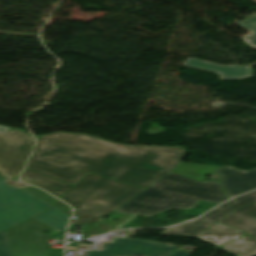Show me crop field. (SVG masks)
Here are the masks:
<instances>
[{"instance_id":"8a807250","label":"crop field","mask_w":256,"mask_h":256,"mask_svg":"<svg viewBox=\"0 0 256 256\" xmlns=\"http://www.w3.org/2000/svg\"><path fill=\"white\" fill-rule=\"evenodd\" d=\"M184 148L112 144L80 134L57 133L40 137L27 168L74 185L94 172L142 187L169 171L203 182L219 167L181 163Z\"/></svg>"},{"instance_id":"ac0d7876","label":"crop field","mask_w":256,"mask_h":256,"mask_svg":"<svg viewBox=\"0 0 256 256\" xmlns=\"http://www.w3.org/2000/svg\"><path fill=\"white\" fill-rule=\"evenodd\" d=\"M199 200L220 203L226 197L219 184L201 183L169 172L117 212L151 216L170 208L188 209Z\"/></svg>"},{"instance_id":"34b2d1b8","label":"crop field","mask_w":256,"mask_h":256,"mask_svg":"<svg viewBox=\"0 0 256 256\" xmlns=\"http://www.w3.org/2000/svg\"><path fill=\"white\" fill-rule=\"evenodd\" d=\"M145 189L89 174L61 199L80 211L70 224H85L104 219Z\"/></svg>"},{"instance_id":"412701ff","label":"crop field","mask_w":256,"mask_h":256,"mask_svg":"<svg viewBox=\"0 0 256 256\" xmlns=\"http://www.w3.org/2000/svg\"><path fill=\"white\" fill-rule=\"evenodd\" d=\"M49 206L33 194L7 185L5 178L0 177V231L46 211Z\"/></svg>"},{"instance_id":"f4fd0767","label":"crop field","mask_w":256,"mask_h":256,"mask_svg":"<svg viewBox=\"0 0 256 256\" xmlns=\"http://www.w3.org/2000/svg\"><path fill=\"white\" fill-rule=\"evenodd\" d=\"M34 145L31 134L19 129L0 134V175L18 178Z\"/></svg>"},{"instance_id":"dd49c442","label":"crop field","mask_w":256,"mask_h":256,"mask_svg":"<svg viewBox=\"0 0 256 256\" xmlns=\"http://www.w3.org/2000/svg\"><path fill=\"white\" fill-rule=\"evenodd\" d=\"M53 229L38 220L31 218L22 225L7 232L13 256H49V235L41 230Z\"/></svg>"},{"instance_id":"e52e79f7","label":"crop field","mask_w":256,"mask_h":256,"mask_svg":"<svg viewBox=\"0 0 256 256\" xmlns=\"http://www.w3.org/2000/svg\"><path fill=\"white\" fill-rule=\"evenodd\" d=\"M176 248V245L116 237L114 243L104 244L103 251H89L88 256H116L117 253L141 256H168Z\"/></svg>"},{"instance_id":"d8731c3e","label":"crop field","mask_w":256,"mask_h":256,"mask_svg":"<svg viewBox=\"0 0 256 256\" xmlns=\"http://www.w3.org/2000/svg\"><path fill=\"white\" fill-rule=\"evenodd\" d=\"M256 202V191L246 194L244 196L235 198L227 203H225L227 206L230 207L228 210H224L220 207L206 213L201 218L187 222L182 225L174 226L162 233V235L166 234H187L190 236H198L205 230H207V227L211 224H214L221 220L222 218L229 215L231 212H233L235 209H237L240 206L250 204Z\"/></svg>"},{"instance_id":"5a996713","label":"crop field","mask_w":256,"mask_h":256,"mask_svg":"<svg viewBox=\"0 0 256 256\" xmlns=\"http://www.w3.org/2000/svg\"><path fill=\"white\" fill-rule=\"evenodd\" d=\"M216 173L221 175V183L229 198L256 188V169L244 172L223 166Z\"/></svg>"},{"instance_id":"3316defc","label":"crop field","mask_w":256,"mask_h":256,"mask_svg":"<svg viewBox=\"0 0 256 256\" xmlns=\"http://www.w3.org/2000/svg\"><path fill=\"white\" fill-rule=\"evenodd\" d=\"M220 222L240 229L256 238V203L235 210Z\"/></svg>"},{"instance_id":"28ad6ade","label":"crop field","mask_w":256,"mask_h":256,"mask_svg":"<svg viewBox=\"0 0 256 256\" xmlns=\"http://www.w3.org/2000/svg\"><path fill=\"white\" fill-rule=\"evenodd\" d=\"M21 178L24 182L32 183L59 197L65 191H67L70 187H72V185H69L67 183L45 176L43 174L37 173L35 171L29 170L27 168H25Z\"/></svg>"},{"instance_id":"d1516ede","label":"crop field","mask_w":256,"mask_h":256,"mask_svg":"<svg viewBox=\"0 0 256 256\" xmlns=\"http://www.w3.org/2000/svg\"><path fill=\"white\" fill-rule=\"evenodd\" d=\"M185 65L220 73L221 79L251 76L250 67L218 66L197 60H188Z\"/></svg>"},{"instance_id":"22f410ed","label":"crop field","mask_w":256,"mask_h":256,"mask_svg":"<svg viewBox=\"0 0 256 256\" xmlns=\"http://www.w3.org/2000/svg\"><path fill=\"white\" fill-rule=\"evenodd\" d=\"M246 233L236 229L227 227L225 225L216 223L212 229H209L196 238L206 240L217 246H220L236 237L242 236Z\"/></svg>"},{"instance_id":"cbeb9de0","label":"crop field","mask_w":256,"mask_h":256,"mask_svg":"<svg viewBox=\"0 0 256 256\" xmlns=\"http://www.w3.org/2000/svg\"><path fill=\"white\" fill-rule=\"evenodd\" d=\"M35 218L59 231H65L70 215L52 206L45 214L39 215Z\"/></svg>"},{"instance_id":"5142ce71","label":"crop field","mask_w":256,"mask_h":256,"mask_svg":"<svg viewBox=\"0 0 256 256\" xmlns=\"http://www.w3.org/2000/svg\"><path fill=\"white\" fill-rule=\"evenodd\" d=\"M222 248L238 256H253L256 254V240L247 235Z\"/></svg>"},{"instance_id":"d9b57169","label":"crop field","mask_w":256,"mask_h":256,"mask_svg":"<svg viewBox=\"0 0 256 256\" xmlns=\"http://www.w3.org/2000/svg\"><path fill=\"white\" fill-rule=\"evenodd\" d=\"M239 23L252 32V34L243 37L244 41L250 46L256 47V16L240 21Z\"/></svg>"},{"instance_id":"733c2abd","label":"crop field","mask_w":256,"mask_h":256,"mask_svg":"<svg viewBox=\"0 0 256 256\" xmlns=\"http://www.w3.org/2000/svg\"><path fill=\"white\" fill-rule=\"evenodd\" d=\"M24 189H26L27 191L33 193L34 195H36V196L42 198L43 200L49 202L51 205L57 200V199H55V198H53V197L47 195L48 193L46 194L45 192H43V191H42L41 189H39V188L32 187V186H28V187H26V188H24Z\"/></svg>"},{"instance_id":"4a817a6b","label":"crop field","mask_w":256,"mask_h":256,"mask_svg":"<svg viewBox=\"0 0 256 256\" xmlns=\"http://www.w3.org/2000/svg\"><path fill=\"white\" fill-rule=\"evenodd\" d=\"M0 256H12L5 231L0 233Z\"/></svg>"},{"instance_id":"bc2a9ffb","label":"crop field","mask_w":256,"mask_h":256,"mask_svg":"<svg viewBox=\"0 0 256 256\" xmlns=\"http://www.w3.org/2000/svg\"><path fill=\"white\" fill-rule=\"evenodd\" d=\"M53 206L59 208L60 210L66 212V213H68V214H71V209H70V207H68L66 204H64V203H62V202H60V201H58V202H57L56 204H54Z\"/></svg>"},{"instance_id":"214f88e0","label":"crop field","mask_w":256,"mask_h":256,"mask_svg":"<svg viewBox=\"0 0 256 256\" xmlns=\"http://www.w3.org/2000/svg\"><path fill=\"white\" fill-rule=\"evenodd\" d=\"M189 252L179 249L174 255L172 256H189Z\"/></svg>"},{"instance_id":"92a150f3","label":"crop field","mask_w":256,"mask_h":256,"mask_svg":"<svg viewBox=\"0 0 256 256\" xmlns=\"http://www.w3.org/2000/svg\"><path fill=\"white\" fill-rule=\"evenodd\" d=\"M10 129H11L10 127H6V126L0 125V133H1V132L8 131V130H10Z\"/></svg>"},{"instance_id":"dafd665d","label":"crop field","mask_w":256,"mask_h":256,"mask_svg":"<svg viewBox=\"0 0 256 256\" xmlns=\"http://www.w3.org/2000/svg\"><path fill=\"white\" fill-rule=\"evenodd\" d=\"M220 207H222V208H224V209H227V208H229V207H227L226 205H221Z\"/></svg>"},{"instance_id":"00972430","label":"crop field","mask_w":256,"mask_h":256,"mask_svg":"<svg viewBox=\"0 0 256 256\" xmlns=\"http://www.w3.org/2000/svg\"><path fill=\"white\" fill-rule=\"evenodd\" d=\"M117 256H133V255H123V254H118Z\"/></svg>"}]
</instances>
